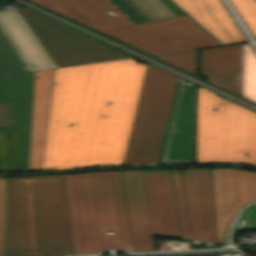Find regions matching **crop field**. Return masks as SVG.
I'll use <instances>...</instances> for the list:
<instances>
[{"mask_svg": "<svg viewBox=\"0 0 256 256\" xmlns=\"http://www.w3.org/2000/svg\"><path fill=\"white\" fill-rule=\"evenodd\" d=\"M15 87V170H27L32 109L33 72L14 75Z\"/></svg>", "mask_w": 256, "mask_h": 256, "instance_id": "d9b57169", "label": "crop field"}, {"mask_svg": "<svg viewBox=\"0 0 256 256\" xmlns=\"http://www.w3.org/2000/svg\"><path fill=\"white\" fill-rule=\"evenodd\" d=\"M22 256L77 255L65 175L18 177Z\"/></svg>", "mask_w": 256, "mask_h": 256, "instance_id": "412701ff", "label": "crop field"}, {"mask_svg": "<svg viewBox=\"0 0 256 256\" xmlns=\"http://www.w3.org/2000/svg\"><path fill=\"white\" fill-rule=\"evenodd\" d=\"M243 95L256 101V54L243 45Z\"/></svg>", "mask_w": 256, "mask_h": 256, "instance_id": "214f88e0", "label": "crop field"}, {"mask_svg": "<svg viewBox=\"0 0 256 256\" xmlns=\"http://www.w3.org/2000/svg\"><path fill=\"white\" fill-rule=\"evenodd\" d=\"M0 31V101L14 100L13 74L26 69Z\"/></svg>", "mask_w": 256, "mask_h": 256, "instance_id": "bc2a9ffb", "label": "crop field"}, {"mask_svg": "<svg viewBox=\"0 0 256 256\" xmlns=\"http://www.w3.org/2000/svg\"><path fill=\"white\" fill-rule=\"evenodd\" d=\"M230 2L256 38V0H230Z\"/></svg>", "mask_w": 256, "mask_h": 256, "instance_id": "4177f3b9", "label": "crop field"}, {"mask_svg": "<svg viewBox=\"0 0 256 256\" xmlns=\"http://www.w3.org/2000/svg\"><path fill=\"white\" fill-rule=\"evenodd\" d=\"M193 163V83L178 78L158 163Z\"/></svg>", "mask_w": 256, "mask_h": 256, "instance_id": "5a996713", "label": "crop field"}, {"mask_svg": "<svg viewBox=\"0 0 256 256\" xmlns=\"http://www.w3.org/2000/svg\"><path fill=\"white\" fill-rule=\"evenodd\" d=\"M181 172L191 239L217 244L210 169Z\"/></svg>", "mask_w": 256, "mask_h": 256, "instance_id": "3316defc", "label": "crop field"}, {"mask_svg": "<svg viewBox=\"0 0 256 256\" xmlns=\"http://www.w3.org/2000/svg\"><path fill=\"white\" fill-rule=\"evenodd\" d=\"M181 238L190 239L180 170H170Z\"/></svg>", "mask_w": 256, "mask_h": 256, "instance_id": "92a150f3", "label": "crop field"}, {"mask_svg": "<svg viewBox=\"0 0 256 256\" xmlns=\"http://www.w3.org/2000/svg\"><path fill=\"white\" fill-rule=\"evenodd\" d=\"M66 178L76 253L107 248L133 252L120 171Z\"/></svg>", "mask_w": 256, "mask_h": 256, "instance_id": "34b2d1b8", "label": "crop field"}, {"mask_svg": "<svg viewBox=\"0 0 256 256\" xmlns=\"http://www.w3.org/2000/svg\"><path fill=\"white\" fill-rule=\"evenodd\" d=\"M0 30L29 72L57 67L18 9L0 12Z\"/></svg>", "mask_w": 256, "mask_h": 256, "instance_id": "28ad6ade", "label": "crop field"}, {"mask_svg": "<svg viewBox=\"0 0 256 256\" xmlns=\"http://www.w3.org/2000/svg\"><path fill=\"white\" fill-rule=\"evenodd\" d=\"M53 73L54 69L34 72L28 170H40L41 167Z\"/></svg>", "mask_w": 256, "mask_h": 256, "instance_id": "5142ce71", "label": "crop field"}, {"mask_svg": "<svg viewBox=\"0 0 256 256\" xmlns=\"http://www.w3.org/2000/svg\"><path fill=\"white\" fill-rule=\"evenodd\" d=\"M210 83L242 95V70L210 72Z\"/></svg>", "mask_w": 256, "mask_h": 256, "instance_id": "00972430", "label": "crop field"}, {"mask_svg": "<svg viewBox=\"0 0 256 256\" xmlns=\"http://www.w3.org/2000/svg\"><path fill=\"white\" fill-rule=\"evenodd\" d=\"M145 67L129 59L55 69L41 169L121 165Z\"/></svg>", "mask_w": 256, "mask_h": 256, "instance_id": "8a807250", "label": "crop field"}, {"mask_svg": "<svg viewBox=\"0 0 256 256\" xmlns=\"http://www.w3.org/2000/svg\"><path fill=\"white\" fill-rule=\"evenodd\" d=\"M242 69V45L201 50L200 75L209 82L212 70Z\"/></svg>", "mask_w": 256, "mask_h": 256, "instance_id": "4a817a6b", "label": "crop field"}, {"mask_svg": "<svg viewBox=\"0 0 256 256\" xmlns=\"http://www.w3.org/2000/svg\"><path fill=\"white\" fill-rule=\"evenodd\" d=\"M256 227V214L240 216L236 224L234 225L235 230L249 229Z\"/></svg>", "mask_w": 256, "mask_h": 256, "instance_id": "ae1a2a85", "label": "crop field"}, {"mask_svg": "<svg viewBox=\"0 0 256 256\" xmlns=\"http://www.w3.org/2000/svg\"><path fill=\"white\" fill-rule=\"evenodd\" d=\"M19 10L58 67L133 58L35 11Z\"/></svg>", "mask_w": 256, "mask_h": 256, "instance_id": "e52e79f7", "label": "crop field"}, {"mask_svg": "<svg viewBox=\"0 0 256 256\" xmlns=\"http://www.w3.org/2000/svg\"><path fill=\"white\" fill-rule=\"evenodd\" d=\"M29 1L151 55L220 45L187 15L134 25L109 0Z\"/></svg>", "mask_w": 256, "mask_h": 256, "instance_id": "ac0d7876", "label": "crop field"}, {"mask_svg": "<svg viewBox=\"0 0 256 256\" xmlns=\"http://www.w3.org/2000/svg\"><path fill=\"white\" fill-rule=\"evenodd\" d=\"M254 213H256V204L246 207V208L242 211L241 215H245V214H254Z\"/></svg>", "mask_w": 256, "mask_h": 256, "instance_id": "d3111659", "label": "crop field"}, {"mask_svg": "<svg viewBox=\"0 0 256 256\" xmlns=\"http://www.w3.org/2000/svg\"><path fill=\"white\" fill-rule=\"evenodd\" d=\"M211 174L217 238L220 244H226L228 228L238 210L256 201V173L212 168Z\"/></svg>", "mask_w": 256, "mask_h": 256, "instance_id": "d8731c3e", "label": "crop field"}, {"mask_svg": "<svg viewBox=\"0 0 256 256\" xmlns=\"http://www.w3.org/2000/svg\"><path fill=\"white\" fill-rule=\"evenodd\" d=\"M14 168V128L0 127V171Z\"/></svg>", "mask_w": 256, "mask_h": 256, "instance_id": "dafd665d", "label": "crop field"}, {"mask_svg": "<svg viewBox=\"0 0 256 256\" xmlns=\"http://www.w3.org/2000/svg\"><path fill=\"white\" fill-rule=\"evenodd\" d=\"M6 179L0 178V256H4Z\"/></svg>", "mask_w": 256, "mask_h": 256, "instance_id": "730fd06b", "label": "crop field"}, {"mask_svg": "<svg viewBox=\"0 0 256 256\" xmlns=\"http://www.w3.org/2000/svg\"><path fill=\"white\" fill-rule=\"evenodd\" d=\"M134 252L155 251L141 170L121 171Z\"/></svg>", "mask_w": 256, "mask_h": 256, "instance_id": "22f410ed", "label": "crop field"}, {"mask_svg": "<svg viewBox=\"0 0 256 256\" xmlns=\"http://www.w3.org/2000/svg\"><path fill=\"white\" fill-rule=\"evenodd\" d=\"M198 50L153 56L174 66L196 74Z\"/></svg>", "mask_w": 256, "mask_h": 256, "instance_id": "a9b5d70f", "label": "crop field"}, {"mask_svg": "<svg viewBox=\"0 0 256 256\" xmlns=\"http://www.w3.org/2000/svg\"><path fill=\"white\" fill-rule=\"evenodd\" d=\"M211 162L256 165V113L200 87L196 163Z\"/></svg>", "mask_w": 256, "mask_h": 256, "instance_id": "f4fd0767", "label": "crop field"}, {"mask_svg": "<svg viewBox=\"0 0 256 256\" xmlns=\"http://www.w3.org/2000/svg\"><path fill=\"white\" fill-rule=\"evenodd\" d=\"M0 126H14V101L0 102Z\"/></svg>", "mask_w": 256, "mask_h": 256, "instance_id": "eef30255", "label": "crop field"}, {"mask_svg": "<svg viewBox=\"0 0 256 256\" xmlns=\"http://www.w3.org/2000/svg\"><path fill=\"white\" fill-rule=\"evenodd\" d=\"M5 256H21L17 177L7 186Z\"/></svg>", "mask_w": 256, "mask_h": 256, "instance_id": "733c2abd", "label": "crop field"}, {"mask_svg": "<svg viewBox=\"0 0 256 256\" xmlns=\"http://www.w3.org/2000/svg\"><path fill=\"white\" fill-rule=\"evenodd\" d=\"M222 44L245 41L219 0H172Z\"/></svg>", "mask_w": 256, "mask_h": 256, "instance_id": "cbeb9de0", "label": "crop field"}, {"mask_svg": "<svg viewBox=\"0 0 256 256\" xmlns=\"http://www.w3.org/2000/svg\"><path fill=\"white\" fill-rule=\"evenodd\" d=\"M177 78L147 65L124 165L157 163Z\"/></svg>", "mask_w": 256, "mask_h": 256, "instance_id": "dd49c442", "label": "crop field"}, {"mask_svg": "<svg viewBox=\"0 0 256 256\" xmlns=\"http://www.w3.org/2000/svg\"><path fill=\"white\" fill-rule=\"evenodd\" d=\"M143 176L153 235L180 238L170 172Z\"/></svg>", "mask_w": 256, "mask_h": 256, "instance_id": "d1516ede", "label": "crop field"}]
</instances>
